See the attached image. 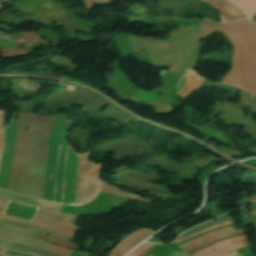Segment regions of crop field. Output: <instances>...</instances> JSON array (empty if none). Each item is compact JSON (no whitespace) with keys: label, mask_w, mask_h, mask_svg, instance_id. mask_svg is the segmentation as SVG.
<instances>
[{"label":"crop field","mask_w":256,"mask_h":256,"mask_svg":"<svg viewBox=\"0 0 256 256\" xmlns=\"http://www.w3.org/2000/svg\"><path fill=\"white\" fill-rule=\"evenodd\" d=\"M53 116H38L36 119L30 156L29 176L26 190L24 192L25 195L42 197L47 153V138Z\"/></svg>","instance_id":"1"},{"label":"crop field","mask_w":256,"mask_h":256,"mask_svg":"<svg viewBox=\"0 0 256 256\" xmlns=\"http://www.w3.org/2000/svg\"><path fill=\"white\" fill-rule=\"evenodd\" d=\"M32 114L20 115L17 134H16V144L14 152V162L10 181L6 190L9 191H18L20 184V177L22 173V163H23V154L26 142V128L28 126L30 117Z\"/></svg>","instance_id":"2"},{"label":"crop field","mask_w":256,"mask_h":256,"mask_svg":"<svg viewBox=\"0 0 256 256\" xmlns=\"http://www.w3.org/2000/svg\"><path fill=\"white\" fill-rule=\"evenodd\" d=\"M80 155L68 145L65 168L64 190L61 203L74 205L76 198V181Z\"/></svg>","instance_id":"3"},{"label":"crop field","mask_w":256,"mask_h":256,"mask_svg":"<svg viewBox=\"0 0 256 256\" xmlns=\"http://www.w3.org/2000/svg\"><path fill=\"white\" fill-rule=\"evenodd\" d=\"M76 216L57 213L40 208L33 222L65 229L71 231H81V228L75 226L74 219Z\"/></svg>","instance_id":"4"},{"label":"crop field","mask_w":256,"mask_h":256,"mask_svg":"<svg viewBox=\"0 0 256 256\" xmlns=\"http://www.w3.org/2000/svg\"><path fill=\"white\" fill-rule=\"evenodd\" d=\"M0 239L19 243V244L34 246V247L41 248L44 250L64 254L67 256H69V254L72 252L71 249L63 248V247L53 245V244H50L47 242H43V241H39V240H35V239L23 237V236H18V235H14V234L2 232V231H0Z\"/></svg>","instance_id":"5"},{"label":"crop field","mask_w":256,"mask_h":256,"mask_svg":"<svg viewBox=\"0 0 256 256\" xmlns=\"http://www.w3.org/2000/svg\"><path fill=\"white\" fill-rule=\"evenodd\" d=\"M0 230L15 233V234H19V235L28 236V237H31V238L47 241V242H50V243H53V244H57V245H61V246H64V247H68V248H72V249L77 250L76 245L71 244L68 240H65V239L51 237V236L43 235V234L36 233V232H33V231H29V230H25V229L13 227V226L1 224V223H0Z\"/></svg>","instance_id":"6"},{"label":"crop field","mask_w":256,"mask_h":256,"mask_svg":"<svg viewBox=\"0 0 256 256\" xmlns=\"http://www.w3.org/2000/svg\"><path fill=\"white\" fill-rule=\"evenodd\" d=\"M150 234L152 232L147 230H138L129 234L111 251L110 256H123Z\"/></svg>","instance_id":"7"},{"label":"crop field","mask_w":256,"mask_h":256,"mask_svg":"<svg viewBox=\"0 0 256 256\" xmlns=\"http://www.w3.org/2000/svg\"><path fill=\"white\" fill-rule=\"evenodd\" d=\"M38 208L9 201L3 214L32 221Z\"/></svg>","instance_id":"8"},{"label":"crop field","mask_w":256,"mask_h":256,"mask_svg":"<svg viewBox=\"0 0 256 256\" xmlns=\"http://www.w3.org/2000/svg\"><path fill=\"white\" fill-rule=\"evenodd\" d=\"M207 4L221 11V14L228 20H238L246 18V16L234 5L224 0H202Z\"/></svg>","instance_id":"9"},{"label":"crop field","mask_w":256,"mask_h":256,"mask_svg":"<svg viewBox=\"0 0 256 256\" xmlns=\"http://www.w3.org/2000/svg\"><path fill=\"white\" fill-rule=\"evenodd\" d=\"M66 149H67V145H60L56 181H55V196L53 200L59 203L61 200V195L63 190L64 167L66 163Z\"/></svg>","instance_id":"10"},{"label":"crop field","mask_w":256,"mask_h":256,"mask_svg":"<svg viewBox=\"0 0 256 256\" xmlns=\"http://www.w3.org/2000/svg\"><path fill=\"white\" fill-rule=\"evenodd\" d=\"M36 117H37L36 115H32L30 120L29 130H28L25 155H24L23 173L21 177V185L18 191L21 194L23 193L26 186V177L28 175V168H29V156H30V150H31L32 132H33V126H34Z\"/></svg>","instance_id":"11"},{"label":"crop field","mask_w":256,"mask_h":256,"mask_svg":"<svg viewBox=\"0 0 256 256\" xmlns=\"http://www.w3.org/2000/svg\"><path fill=\"white\" fill-rule=\"evenodd\" d=\"M241 229H237V230H234L233 227H229V228H223V229H219V230H216V231H213L209 234H206L198 239H195L193 241H190L188 243H185V244H182L180 245V248L185 251L187 249H190L192 247H195L197 245H200L206 241H209L213 238H216L218 236H221V235H225V234H229V233H232V232H236V231H240Z\"/></svg>","instance_id":"12"},{"label":"crop field","mask_w":256,"mask_h":256,"mask_svg":"<svg viewBox=\"0 0 256 256\" xmlns=\"http://www.w3.org/2000/svg\"><path fill=\"white\" fill-rule=\"evenodd\" d=\"M0 247L13 249V250H18V251L38 255V256H62V255H59V254H56V253L44 251V250L37 249V248H34V247L19 245V244L6 242V241H2V240H0Z\"/></svg>","instance_id":"13"},{"label":"crop field","mask_w":256,"mask_h":256,"mask_svg":"<svg viewBox=\"0 0 256 256\" xmlns=\"http://www.w3.org/2000/svg\"><path fill=\"white\" fill-rule=\"evenodd\" d=\"M204 80L195 78L193 76H186L185 77V85H183L176 94L182 96L185 100L197 87L202 85Z\"/></svg>","instance_id":"14"},{"label":"crop field","mask_w":256,"mask_h":256,"mask_svg":"<svg viewBox=\"0 0 256 256\" xmlns=\"http://www.w3.org/2000/svg\"><path fill=\"white\" fill-rule=\"evenodd\" d=\"M158 91L153 90L152 92L145 91V90H137L135 93H133L127 100L136 102V103H150L157 99L158 97Z\"/></svg>","instance_id":"15"},{"label":"crop field","mask_w":256,"mask_h":256,"mask_svg":"<svg viewBox=\"0 0 256 256\" xmlns=\"http://www.w3.org/2000/svg\"><path fill=\"white\" fill-rule=\"evenodd\" d=\"M248 245H249L248 240L247 241L238 242V243H234V244L228 245V246H226L224 248H221L219 250L210 252V253L206 254L205 256H222V255H224V254H226L228 252H231L233 250H236V249L248 246Z\"/></svg>","instance_id":"16"},{"label":"crop field","mask_w":256,"mask_h":256,"mask_svg":"<svg viewBox=\"0 0 256 256\" xmlns=\"http://www.w3.org/2000/svg\"><path fill=\"white\" fill-rule=\"evenodd\" d=\"M247 239V236H238V237H235V238H232V239H228V240H225L223 242H219V243H216L200 252H197L191 256H202L216 248H219V247H222L224 245H227V244H230V243H233V242H236V241H240V240H246Z\"/></svg>","instance_id":"17"},{"label":"crop field","mask_w":256,"mask_h":256,"mask_svg":"<svg viewBox=\"0 0 256 256\" xmlns=\"http://www.w3.org/2000/svg\"><path fill=\"white\" fill-rule=\"evenodd\" d=\"M0 217L5 218V219H9V220H13V221H18V222L30 224V225H34V226H38V227H41V228H44V229H47V230H51V231H55V232H59V233H63V234H68V235H72V236L75 235L74 232H68V231H65V230L56 229V228H52V227H48V226H44V225H40V224H36V223H32V222L20 220V219H17V218L6 216V215H1L0 214Z\"/></svg>","instance_id":"18"},{"label":"crop field","mask_w":256,"mask_h":256,"mask_svg":"<svg viewBox=\"0 0 256 256\" xmlns=\"http://www.w3.org/2000/svg\"><path fill=\"white\" fill-rule=\"evenodd\" d=\"M238 5L248 16L256 11V1L249 2H232Z\"/></svg>","instance_id":"19"},{"label":"crop field","mask_w":256,"mask_h":256,"mask_svg":"<svg viewBox=\"0 0 256 256\" xmlns=\"http://www.w3.org/2000/svg\"><path fill=\"white\" fill-rule=\"evenodd\" d=\"M100 191L112 193V194H115V195L131 198V199H135V200L139 201V197L134 195V194L124 192V191L115 190V189H112V188H109V187H106V186L101 185Z\"/></svg>","instance_id":"20"},{"label":"crop field","mask_w":256,"mask_h":256,"mask_svg":"<svg viewBox=\"0 0 256 256\" xmlns=\"http://www.w3.org/2000/svg\"><path fill=\"white\" fill-rule=\"evenodd\" d=\"M70 19H71L73 24H75L77 27H79L80 29H82L84 31L96 27V26L88 23L87 21H85L83 19H78V18L73 17L71 15H70Z\"/></svg>","instance_id":"21"},{"label":"crop field","mask_w":256,"mask_h":256,"mask_svg":"<svg viewBox=\"0 0 256 256\" xmlns=\"http://www.w3.org/2000/svg\"><path fill=\"white\" fill-rule=\"evenodd\" d=\"M216 149H218V150L222 151L223 153H225L229 156H232V157L237 156V157L240 158V156L242 155L241 152H238L236 150H232V149H229V148H226V147H222V146H220Z\"/></svg>","instance_id":"22"},{"label":"crop field","mask_w":256,"mask_h":256,"mask_svg":"<svg viewBox=\"0 0 256 256\" xmlns=\"http://www.w3.org/2000/svg\"><path fill=\"white\" fill-rule=\"evenodd\" d=\"M153 244H143L141 246H139L138 248H136L134 251H132L129 255L127 256H138L141 252H143L144 250L148 249L149 247H151Z\"/></svg>","instance_id":"23"},{"label":"crop field","mask_w":256,"mask_h":256,"mask_svg":"<svg viewBox=\"0 0 256 256\" xmlns=\"http://www.w3.org/2000/svg\"><path fill=\"white\" fill-rule=\"evenodd\" d=\"M230 223H233V221L231 220V221H228V222H225V223H221V224L214 225V226L209 227V228H207V229H205V230H202V231L196 232V233H194V234H191V235H189V236H187V237H185V238H181V239H179V240H177V241H175V242L178 243V242H180V241H182V240H185V239H187V238H189V237H191V236L200 234V233H202V232H204V231H206V230H208V229L216 228V227H218V226H221V225H224V224H230Z\"/></svg>","instance_id":"24"},{"label":"crop field","mask_w":256,"mask_h":256,"mask_svg":"<svg viewBox=\"0 0 256 256\" xmlns=\"http://www.w3.org/2000/svg\"><path fill=\"white\" fill-rule=\"evenodd\" d=\"M241 232H244V231H241ZM236 233H240V232H236ZM236 233H233V234H236ZM229 235H232V234H229ZM229 235H226V236H229ZM226 236H222V237H226ZM222 237H218V238H216V239H214V240H211V241H209V242H207V243H205V244H202V245H200V246H197V247H195V248H193V249H190V250H187V251H185V252L188 253V252L194 251V250H196V249H198V248H200V247H203V246H205V245H207V244H209V243H211V242H213V241H215V240H217V239H220V238H222Z\"/></svg>","instance_id":"25"},{"label":"crop field","mask_w":256,"mask_h":256,"mask_svg":"<svg viewBox=\"0 0 256 256\" xmlns=\"http://www.w3.org/2000/svg\"><path fill=\"white\" fill-rule=\"evenodd\" d=\"M93 4L99 5V4H111L110 0H92Z\"/></svg>","instance_id":"26"},{"label":"crop field","mask_w":256,"mask_h":256,"mask_svg":"<svg viewBox=\"0 0 256 256\" xmlns=\"http://www.w3.org/2000/svg\"><path fill=\"white\" fill-rule=\"evenodd\" d=\"M82 2L84 4L86 10L94 6L92 4L91 0H82Z\"/></svg>","instance_id":"27"},{"label":"crop field","mask_w":256,"mask_h":256,"mask_svg":"<svg viewBox=\"0 0 256 256\" xmlns=\"http://www.w3.org/2000/svg\"><path fill=\"white\" fill-rule=\"evenodd\" d=\"M187 74H194V75H196V76H199V77H201L200 75H198L196 72H194V71H192V70H187V72H186V74L185 75H187Z\"/></svg>","instance_id":"28"},{"label":"crop field","mask_w":256,"mask_h":256,"mask_svg":"<svg viewBox=\"0 0 256 256\" xmlns=\"http://www.w3.org/2000/svg\"><path fill=\"white\" fill-rule=\"evenodd\" d=\"M158 245H155L151 248H149L148 250H146L145 252H143L142 254H140L139 256H143L145 253H147L148 251L152 250L153 248L157 247Z\"/></svg>","instance_id":"29"},{"label":"crop field","mask_w":256,"mask_h":256,"mask_svg":"<svg viewBox=\"0 0 256 256\" xmlns=\"http://www.w3.org/2000/svg\"><path fill=\"white\" fill-rule=\"evenodd\" d=\"M235 255H237V253H236L235 251H233V252H231V253H229V254H226V255H224V256H235Z\"/></svg>","instance_id":"30"},{"label":"crop field","mask_w":256,"mask_h":256,"mask_svg":"<svg viewBox=\"0 0 256 256\" xmlns=\"http://www.w3.org/2000/svg\"><path fill=\"white\" fill-rule=\"evenodd\" d=\"M252 21L256 23V13L251 17Z\"/></svg>","instance_id":"31"},{"label":"crop field","mask_w":256,"mask_h":256,"mask_svg":"<svg viewBox=\"0 0 256 256\" xmlns=\"http://www.w3.org/2000/svg\"><path fill=\"white\" fill-rule=\"evenodd\" d=\"M230 1H248V0H230Z\"/></svg>","instance_id":"32"},{"label":"crop field","mask_w":256,"mask_h":256,"mask_svg":"<svg viewBox=\"0 0 256 256\" xmlns=\"http://www.w3.org/2000/svg\"><path fill=\"white\" fill-rule=\"evenodd\" d=\"M249 202H256V200H251V201H249Z\"/></svg>","instance_id":"33"},{"label":"crop field","mask_w":256,"mask_h":256,"mask_svg":"<svg viewBox=\"0 0 256 256\" xmlns=\"http://www.w3.org/2000/svg\"><path fill=\"white\" fill-rule=\"evenodd\" d=\"M3 210L0 209V213H2Z\"/></svg>","instance_id":"34"},{"label":"crop field","mask_w":256,"mask_h":256,"mask_svg":"<svg viewBox=\"0 0 256 256\" xmlns=\"http://www.w3.org/2000/svg\"><path fill=\"white\" fill-rule=\"evenodd\" d=\"M251 214H256V213H251Z\"/></svg>","instance_id":"35"},{"label":"crop field","mask_w":256,"mask_h":256,"mask_svg":"<svg viewBox=\"0 0 256 256\" xmlns=\"http://www.w3.org/2000/svg\"><path fill=\"white\" fill-rule=\"evenodd\" d=\"M149 256H152V255H149Z\"/></svg>","instance_id":"36"},{"label":"crop field","mask_w":256,"mask_h":256,"mask_svg":"<svg viewBox=\"0 0 256 256\" xmlns=\"http://www.w3.org/2000/svg\"><path fill=\"white\" fill-rule=\"evenodd\" d=\"M237 256H239V255H237Z\"/></svg>","instance_id":"37"}]
</instances>
